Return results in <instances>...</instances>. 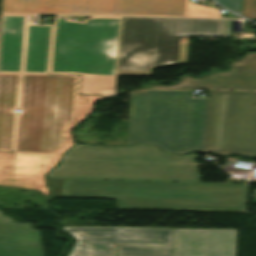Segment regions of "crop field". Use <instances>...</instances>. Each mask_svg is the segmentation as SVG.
<instances>
[{"instance_id": "obj_1", "label": "crop field", "mask_w": 256, "mask_h": 256, "mask_svg": "<svg viewBox=\"0 0 256 256\" xmlns=\"http://www.w3.org/2000/svg\"><path fill=\"white\" fill-rule=\"evenodd\" d=\"M78 76L24 75L13 187L42 191L43 174L72 145L69 129L84 118L100 96L77 95Z\"/></svg>"}, {"instance_id": "obj_2", "label": "crop field", "mask_w": 256, "mask_h": 256, "mask_svg": "<svg viewBox=\"0 0 256 256\" xmlns=\"http://www.w3.org/2000/svg\"><path fill=\"white\" fill-rule=\"evenodd\" d=\"M249 184L64 180L62 195L118 198L119 208L246 211Z\"/></svg>"}, {"instance_id": "obj_3", "label": "crop field", "mask_w": 256, "mask_h": 256, "mask_svg": "<svg viewBox=\"0 0 256 256\" xmlns=\"http://www.w3.org/2000/svg\"><path fill=\"white\" fill-rule=\"evenodd\" d=\"M56 179L201 182L195 153L175 156L153 145L106 148L77 143L47 174Z\"/></svg>"}, {"instance_id": "obj_4", "label": "crop field", "mask_w": 256, "mask_h": 256, "mask_svg": "<svg viewBox=\"0 0 256 256\" xmlns=\"http://www.w3.org/2000/svg\"><path fill=\"white\" fill-rule=\"evenodd\" d=\"M192 91L130 93L127 145L149 143L175 154L202 151L207 98Z\"/></svg>"}, {"instance_id": "obj_5", "label": "crop field", "mask_w": 256, "mask_h": 256, "mask_svg": "<svg viewBox=\"0 0 256 256\" xmlns=\"http://www.w3.org/2000/svg\"><path fill=\"white\" fill-rule=\"evenodd\" d=\"M188 36H223L216 19L123 17L118 75H151L152 68L187 63Z\"/></svg>"}, {"instance_id": "obj_6", "label": "crop field", "mask_w": 256, "mask_h": 256, "mask_svg": "<svg viewBox=\"0 0 256 256\" xmlns=\"http://www.w3.org/2000/svg\"><path fill=\"white\" fill-rule=\"evenodd\" d=\"M118 19L95 18L88 25L59 19L53 71L114 75Z\"/></svg>"}, {"instance_id": "obj_7", "label": "crop field", "mask_w": 256, "mask_h": 256, "mask_svg": "<svg viewBox=\"0 0 256 256\" xmlns=\"http://www.w3.org/2000/svg\"><path fill=\"white\" fill-rule=\"evenodd\" d=\"M203 151L256 157V92L209 91Z\"/></svg>"}, {"instance_id": "obj_8", "label": "crop field", "mask_w": 256, "mask_h": 256, "mask_svg": "<svg viewBox=\"0 0 256 256\" xmlns=\"http://www.w3.org/2000/svg\"><path fill=\"white\" fill-rule=\"evenodd\" d=\"M186 0H3L2 12L185 15Z\"/></svg>"}, {"instance_id": "obj_9", "label": "crop field", "mask_w": 256, "mask_h": 256, "mask_svg": "<svg viewBox=\"0 0 256 256\" xmlns=\"http://www.w3.org/2000/svg\"><path fill=\"white\" fill-rule=\"evenodd\" d=\"M237 229H174L173 256H236Z\"/></svg>"}, {"instance_id": "obj_10", "label": "crop field", "mask_w": 256, "mask_h": 256, "mask_svg": "<svg viewBox=\"0 0 256 256\" xmlns=\"http://www.w3.org/2000/svg\"><path fill=\"white\" fill-rule=\"evenodd\" d=\"M151 88L256 90V53H249L242 60L230 63L228 72L211 74L202 79L184 76L177 85Z\"/></svg>"}, {"instance_id": "obj_11", "label": "crop field", "mask_w": 256, "mask_h": 256, "mask_svg": "<svg viewBox=\"0 0 256 256\" xmlns=\"http://www.w3.org/2000/svg\"><path fill=\"white\" fill-rule=\"evenodd\" d=\"M0 256H45L40 231L0 212Z\"/></svg>"}, {"instance_id": "obj_12", "label": "crop field", "mask_w": 256, "mask_h": 256, "mask_svg": "<svg viewBox=\"0 0 256 256\" xmlns=\"http://www.w3.org/2000/svg\"><path fill=\"white\" fill-rule=\"evenodd\" d=\"M63 229L77 239L70 256H114L115 228L63 227Z\"/></svg>"}, {"instance_id": "obj_13", "label": "crop field", "mask_w": 256, "mask_h": 256, "mask_svg": "<svg viewBox=\"0 0 256 256\" xmlns=\"http://www.w3.org/2000/svg\"><path fill=\"white\" fill-rule=\"evenodd\" d=\"M25 16H3L0 71L19 72Z\"/></svg>"}, {"instance_id": "obj_14", "label": "crop field", "mask_w": 256, "mask_h": 256, "mask_svg": "<svg viewBox=\"0 0 256 256\" xmlns=\"http://www.w3.org/2000/svg\"><path fill=\"white\" fill-rule=\"evenodd\" d=\"M19 75H0V148L12 149L14 116Z\"/></svg>"}, {"instance_id": "obj_15", "label": "crop field", "mask_w": 256, "mask_h": 256, "mask_svg": "<svg viewBox=\"0 0 256 256\" xmlns=\"http://www.w3.org/2000/svg\"><path fill=\"white\" fill-rule=\"evenodd\" d=\"M50 27L29 26L24 72H46Z\"/></svg>"}, {"instance_id": "obj_16", "label": "crop field", "mask_w": 256, "mask_h": 256, "mask_svg": "<svg viewBox=\"0 0 256 256\" xmlns=\"http://www.w3.org/2000/svg\"><path fill=\"white\" fill-rule=\"evenodd\" d=\"M117 244L173 245V229L116 228Z\"/></svg>"}, {"instance_id": "obj_17", "label": "crop field", "mask_w": 256, "mask_h": 256, "mask_svg": "<svg viewBox=\"0 0 256 256\" xmlns=\"http://www.w3.org/2000/svg\"><path fill=\"white\" fill-rule=\"evenodd\" d=\"M226 8L241 13L242 0H217ZM243 16L256 20V0H245Z\"/></svg>"}, {"instance_id": "obj_18", "label": "crop field", "mask_w": 256, "mask_h": 256, "mask_svg": "<svg viewBox=\"0 0 256 256\" xmlns=\"http://www.w3.org/2000/svg\"><path fill=\"white\" fill-rule=\"evenodd\" d=\"M172 251L171 247L117 246V252L172 254Z\"/></svg>"}, {"instance_id": "obj_19", "label": "crop field", "mask_w": 256, "mask_h": 256, "mask_svg": "<svg viewBox=\"0 0 256 256\" xmlns=\"http://www.w3.org/2000/svg\"><path fill=\"white\" fill-rule=\"evenodd\" d=\"M62 182L63 180L47 179V185L53 197H63L61 196ZM74 198H78V197H74ZM116 204H117V199H116ZM117 209H118V204H117Z\"/></svg>"}, {"instance_id": "obj_20", "label": "crop field", "mask_w": 256, "mask_h": 256, "mask_svg": "<svg viewBox=\"0 0 256 256\" xmlns=\"http://www.w3.org/2000/svg\"><path fill=\"white\" fill-rule=\"evenodd\" d=\"M117 256H172V255L117 253Z\"/></svg>"}]
</instances>
